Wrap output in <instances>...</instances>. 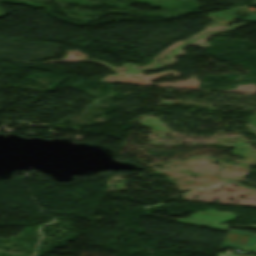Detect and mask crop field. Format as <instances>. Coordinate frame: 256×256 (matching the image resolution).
Wrapping results in <instances>:
<instances>
[{"label": "crop field", "mask_w": 256, "mask_h": 256, "mask_svg": "<svg viewBox=\"0 0 256 256\" xmlns=\"http://www.w3.org/2000/svg\"><path fill=\"white\" fill-rule=\"evenodd\" d=\"M244 13L248 15V18H239L235 14ZM211 19L213 22L218 24L227 25L235 21L236 19H241L249 22H256V11H251L247 9H234L230 11L220 12L212 15L206 16ZM228 26V25H227Z\"/></svg>", "instance_id": "8a807250"}, {"label": "crop field", "mask_w": 256, "mask_h": 256, "mask_svg": "<svg viewBox=\"0 0 256 256\" xmlns=\"http://www.w3.org/2000/svg\"><path fill=\"white\" fill-rule=\"evenodd\" d=\"M230 232H235V233H241V234H246V235H251V236H256V233H251V232H245V231H239V230H233L229 229Z\"/></svg>", "instance_id": "ac0d7876"}, {"label": "crop field", "mask_w": 256, "mask_h": 256, "mask_svg": "<svg viewBox=\"0 0 256 256\" xmlns=\"http://www.w3.org/2000/svg\"><path fill=\"white\" fill-rule=\"evenodd\" d=\"M218 256H232V255H218Z\"/></svg>", "instance_id": "34b2d1b8"}]
</instances>
